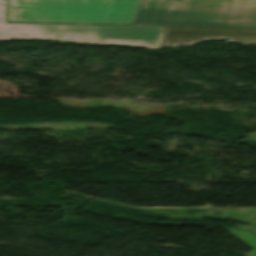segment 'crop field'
Returning <instances> with one entry per match:
<instances>
[{
	"mask_svg": "<svg viewBox=\"0 0 256 256\" xmlns=\"http://www.w3.org/2000/svg\"><path fill=\"white\" fill-rule=\"evenodd\" d=\"M228 38L231 43L256 44V27L164 26V48Z\"/></svg>",
	"mask_w": 256,
	"mask_h": 256,
	"instance_id": "4",
	"label": "crop field"
},
{
	"mask_svg": "<svg viewBox=\"0 0 256 256\" xmlns=\"http://www.w3.org/2000/svg\"><path fill=\"white\" fill-rule=\"evenodd\" d=\"M133 24L256 26V0H142Z\"/></svg>",
	"mask_w": 256,
	"mask_h": 256,
	"instance_id": "2",
	"label": "crop field"
},
{
	"mask_svg": "<svg viewBox=\"0 0 256 256\" xmlns=\"http://www.w3.org/2000/svg\"><path fill=\"white\" fill-rule=\"evenodd\" d=\"M68 40L160 49L163 26H103L67 24H8L6 0H0V40Z\"/></svg>",
	"mask_w": 256,
	"mask_h": 256,
	"instance_id": "1",
	"label": "crop field"
},
{
	"mask_svg": "<svg viewBox=\"0 0 256 256\" xmlns=\"http://www.w3.org/2000/svg\"><path fill=\"white\" fill-rule=\"evenodd\" d=\"M141 0H9V21L132 24Z\"/></svg>",
	"mask_w": 256,
	"mask_h": 256,
	"instance_id": "3",
	"label": "crop field"
}]
</instances>
